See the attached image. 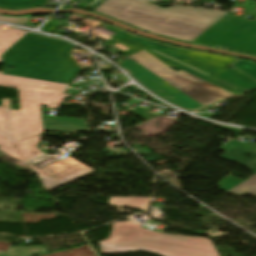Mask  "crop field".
<instances>
[{"label":"crop field","mask_w":256,"mask_h":256,"mask_svg":"<svg viewBox=\"0 0 256 256\" xmlns=\"http://www.w3.org/2000/svg\"><path fill=\"white\" fill-rule=\"evenodd\" d=\"M123 51L126 46L115 43ZM146 88L183 108L196 109L236 96L183 70L172 71L166 62L142 50L120 64Z\"/></svg>","instance_id":"8a807250"},{"label":"crop field","mask_w":256,"mask_h":256,"mask_svg":"<svg viewBox=\"0 0 256 256\" xmlns=\"http://www.w3.org/2000/svg\"><path fill=\"white\" fill-rule=\"evenodd\" d=\"M94 12L152 33L189 42L228 13L181 7L161 9L146 0H106Z\"/></svg>","instance_id":"ac0d7876"},{"label":"crop field","mask_w":256,"mask_h":256,"mask_svg":"<svg viewBox=\"0 0 256 256\" xmlns=\"http://www.w3.org/2000/svg\"><path fill=\"white\" fill-rule=\"evenodd\" d=\"M73 48L65 41L27 33L3 53L4 74L68 84L81 72L70 56Z\"/></svg>","instance_id":"34b2d1b8"},{"label":"crop field","mask_w":256,"mask_h":256,"mask_svg":"<svg viewBox=\"0 0 256 256\" xmlns=\"http://www.w3.org/2000/svg\"><path fill=\"white\" fill-rule=\"evenodd\" d=\"M135 222H115L109 239L100 241L102 254L149 251L162 256H219L209 239L157 233Z\"/></svg>","instance_id":"412701ff"},{"label":"crop field","mask_w":256,"mask_h":256,"mask_svg":"<svg viewBox=\"0 0 256 256\" xmlns=\"http://www.w3.org/2000/svg\"><path fill=\"white\" fill-rule=\"evenodd\" d=\"M0 86L19 90L21 110H8L11 142L43 133L40 106L51 109L70 97L63 94L69 85L3 75Z\"/></svg>","instance_id":"f4fd0767"},{"label":"crop field","mask_w":256,"mask_h":256,"mask_svg":"<svg viewBox=\"0 0 256 256\" xmlns=\"http://www.w3.org/2000/svg\"><path fill=\"white\" fill-rule=\"evenodd\" d=\"M193 42L256 55V20L226 15Z\"/></svg>","instance_id":"dd49c442"},{"label":"crop field","mask_w":256,"mask_h":256,"mask_svg":"<svg viewBox=\"0 0 256 256\" xmlns=\"http://www.w3.org/2000/svg\"><path fill=\"white\" fill-rule=\"evenodd\" d=\"M28 164L36 174L42 176L41 183L48 192L64 186L62 184L64 182L76 181L96 172L95 170L77 162L69 156L63 161H57L41 170L29 162Z\"/></svg>","instance_id":"e52e79f7"},{"label":"crop field","mask_w":256,"mask_h":256,"mask_svg":"<svg viewBox=\"0 0 256 256\" xmlns=\"http://www.w3.org/2000/svg\"><path fill=\"white\" fill-rule=\"evenodd\" d=\"M221 149L229 151L221 158L237 162L256 173V145L233 140Z\"/></svg>","instance_id":"d8731c3e"},{"label":"crop field","mask_w":256,"mask_h":256,"mask_svg":"<svg viewBox=\"0 0 256 256\" xmlns=\"http://www.w3.org/2000/svg\"><path fill=\"white\" fill-rule=\"evenodd\" d=\"M40 142V135L32 138H28L22 141L13 143L14 147L23 156L25 161L30 160L40 154H43L40 150L36 148V144Z\"/></svg>","instance_id":"5a996713"},{"label":"crop field","mask_w":256,"mask_h":256,"mask_svg":"<svg viewBox=\"0 0 256 256\" xmlns=\"http://www.w3.org/2000/svg\"><path fill=\"white\" fill-rule=\"evenodd\" d=\"M27 32L17 30L15 28H8L6 30L0 29V63L1 55L10 46H12L16 41H18Z\"/></svg>","instance_id":"3316defc"},{"label":"crop field","mask_w":256,"mask_h":256,"mask_svg":"<svg viewBox=\"0 0 256 256\" xmlns=\"http://www.w3.org/2000/svg\"><path fill=\"white\" fill-rule=\"evenodd\" d=\"M151 198L113 197L110 204L147 210Z\"/></svg>","instance_id":"28ad6ade"},{"label":"crop field","mask_w":256,"mask_h":256,"mask_svg":"<svg viewBox=\"0 0 256 256\" xmlns=\"http://www.w3.org/2000/svg\"><path fill=\"white\" fill-rule=\"evenodd\" d=\"M48 251L43 246L37 247H11L6 252H0V256H31Z\"/></svg>","instance_id":"d1516ede"},{"label":"crop field","mask_w":256,"mask_h":256,"mask_svg":"<svg viewBox=\"0 0 256 256\" xmlns=\"http://www.w3.org/2000/svg\"><path fill=\"white\" fill-rule=\"evenodd\" d=\"M47 0H0L2 8H25L35 6H45Z\"/></svg>","instance_id":"22f410ed"},{"label":"crop field","mask_w":256,"mask_h":256,"mask_svg":"<svg viewBox=\"0 0 256 256\" xmlns=\"http://www.w3.org/2000/svg\"><path fill=\"white\" fill-rule=\"evenodd\" d=\"M7 109H10L9 99H2V107H0V132L10 137Z\"/></svg>","instance_id":"cbeb9de0"},{"label":"crop field","mask_w":256,"mask_h":256,"mask_svg":"<svg viewBox=\"0 0 256 256\" xmlns=\"http://www.w3.org/2000/svg\"><path fill=\"white\" fill-rule=\"evenodd\" d=\"M229 192H233V193H237V194H242L244 192H247V193L256 195V175H254L253 177H251L244 183L240 184L239 186L233 188Z\"/></svg>","instance_id":"5142ce71"},{"label":"crop field","mask_w":256,"mask_h":256,"mask_svg":"<svg viewBox=\"0 0 256 256\" xmlns=\"http://www.w3.org/2000/svg\"><path fill=\"white\" fill-rule=\"evenodd\" d=\"M235 67L241 69L245 73L249 74L256 79V64L247 60L241 59L235 65Z\"/></svg>","instance_id":"d9b57169"},{"label":"crop field","mask_w":256,"mask_h":256,"mask_svg":"<svg viewBox=\"0 0 256 256\" xmlns=\"http://www.w3.org/2000/svg\"><path fill=\"white\" fill-rule=\"evenodd\" d=\"M242 182H243L242 180L230 175L229 177H227L225 180L221 182V187L223 190L228 191Z\"/></svg>","instance_id":"733c2abd"},{"label":"crop field","mask_w":256,"mask_h":256,"mask_svg":"<svg viewBox=\"0 0 256 256\" xmlns=\"http://www.w3.org/2000/svg\"><path fill=\"white\" fill-rule=\"evenodd\" d=\"M132 113H134L135 115L147 120L155 115L151 114L148 110L143 109L141 107H136Z\"/></svg>","instance_id":"4a817a6b"},{"label":"crop field","mask_w":256,"mask_h":256,"mask_svg":"<svg viewBox=\"0 0 256 256\" xmlns=\"http://www.w3.org/2000/svg\"><path fill=\"white\" fill-rule=\"evenodd\" d=\"M31 17H26V18H14V17H6V16H0V21H6V22H11V23H23L25 24L27 21H29Z\"/></svg>","instance_id":"bc2a9ffb"},{"label":"crop field","mask_w":256,"mask_h":256,"mask_svg":"<svg viewBox=\"0 0 256 256\" xmlns=\"http://www.w3.org/2000/svg\"><path fill=\"white\" fill-rule=\"evenodd\" d=\"M0 150L5 152L6 154L12 156V157H15V158H18V159L24 161L22 156L17 152V150L15 148L1 147Z\"/></svg>","instance_id":"214f88e0"},{"label":"crop field","mask_w":256,"mask_h":256,"mask_svg":"<svg viewBox=\"0 0 256 256\" xmlns=\"http://www.w3.org/2000/svg\"><path fill=\"white\" fill-rule=\"evenodd\" d=\"M0 146L13 147L10 138L0 133Z\"/></svg>","instance_id":"92a150f3"}]
</instances>
